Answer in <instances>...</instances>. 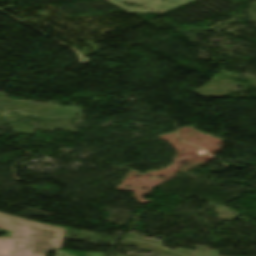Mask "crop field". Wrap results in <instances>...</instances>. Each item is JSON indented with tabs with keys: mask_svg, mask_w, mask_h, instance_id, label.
<instances>
[{
	"mask_svg": "<svg viewBox=\"0 0 256 256\" xmlns=\"http://www.w3.org/2000/svg\"><path fill=\"white\" fill-rule=\"evenodd\" d=\"M113 5L129 12V13H165L182 5H185L189 2L194 0H167L163 2V0H106ZM122 1L129 2V3H138L135 6H128L126 4L121 3ZM173 3H169L172 2ZM140 4H145L144 6L138 8L137 6ZM149 7L148 9L142 10L145 7ZM154 9V11H151ZM159 10L161 12H159Z\"/></svg>",
	"mask_w": 256,
	"mask_h": 256,
	"instance_id": "2",
	"label": "crop field"
},
{
	"mask_svg": "<svg viewBox=\"0 0 256 256\" xmlns=\"http://www.w3.org/2000/svg\"><path fill=\"white\" fill-rule=\"evenodd\" d=\"M0 228L13 231L0 237V256H45L63 246L66 229L0 212Z\"/></svg>",
	"mask_w": 256,
	"mask_h": 256,
	"instance_id": "1",
	"label": "crop field"
}]
</instances>
